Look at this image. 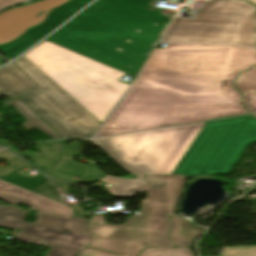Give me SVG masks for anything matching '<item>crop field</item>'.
<instances>
[{"mask_svg":"<svg viewBox=\"0 0 256 256\" xmlns=\"http://www.w3.org/2000/svg\"><path fill=\"white\" fill-rule=\"evenodd\" d=\"M254 64L251 48L168 43L95 137L248 113L231 84Z\"/></svg>","mask_w":256,"mask_h":256,"instance_id":"8a807250","label":"crop field"},{"mask_svg":"<svg viewBox=\"0 0 256 256\" xmlns=\"http://www.w3.org/2000/svg\"><path fill=\"white\" fill-rule=\"evenodd\" d=\"M23 56L101 123L129 87L124 73L47 40Z\"/></svg>","mask_w":256,"mask_h":256,"instance_id":"ac0d7876","label":"crop field"},{"mask_svg":"<svg viewBox=\"0 0 256 256\" xmlns=\"http://www.w3.org/2000/svg\"><path fill=\"white\" fill-rule=\"evenodd\" d=\"M149 197L141 216H129L123 225L106 224L104 215L90 219L94 239L89 247L126 256H138L145 247H175L168 239L167 213H173L184 176H144Z\"/></svg>","mask_w":256,"mask_h":256,"instance_id":"34b2d1b8","label":"crop field"},{"mask_svg":"<svg viewBox=\"0 0 256 256\" xmlns=\"http://www.w3.org/2000/svg\"><path fill=\"white\" fill-rule=\"evenodd\" d=\"M205 123L90 140L129 174H171Z\"/></svg>","mask_w":256,"mask_h":256,"instance_id":"412701ff","label":"crop field"},{"mask_svg":"<svg viewBox=\"0 0 256 256\" xmlns=\"http://www.w3.org/2000/svg\"><path fill=\"white\" fill-rule=\"evenodd\" d=\"M256 7L244 1L211 0L194 19L174 18L162 41L256 47Z\"/></svg>","mask_w":256,"mask_h":256,"instance_id":"f4fd0767","label":"crop field"},{"mask_svg":"<svg viewBox=\"0 0 256 256\" xmlns=\"http://www.w3.org/2000/svg\"><path fill=\"white\" fill-rule=\"evenodd\" d=\"M254 141L256 119L251 116L207 122L174 174H229Z\"/></svg>","mask_w":256,"mask_h":256,"instance_id":"dd49c442","label":"crop field"},{"mask_svg":"<svg viewBox=\"0 0 256 256\" xmlns=\"http://www.w3.org/2000/svg\"><path fill=\"white\" fill-rule=\"evenodd\" d=\"M47 40L66 47L132 77L150 49L72 20Z\"/></svg>","mask_w":256,"mask_h":256,"instance_id":"e52e79f7","label":"crop field"},{"mask_svg":"<svg viewBox=\"0 0 256 256\" xmlns=\"http://www.w3.org/2000/svg\"><path fill=\"white\" fill-rule=\"evenodd\" d=\"M44 90L22 96L61 136L90 138L101 125L23 56L15 62Z\"/></svg>","mask_w":256,"mask_h":256,"instance_id":"d8731c3e","label":"crop field"},{"mask_svg":"<svg viewBox=\"0 0 256 256\" xmlns=\"http://www.w3.org/2000/svg\"><path fill=\"white\" fill-rule=\"evenodd\" d=\"M28 212L31 210L0 204V226L21 228L20 235L45 240L41 245L52 248L45 256H77L93 239L86 218H59L37 212V220L27 223L23 220Z\"/></svg>","mask_w":256,"mask_h":256,"instance_id":"5a996713","label":"crop field"},{"mask_svg":"<svg viewBox=\"0 0 256 256\" xmlns=\"http://www.w3.org/2000/svg\"><path fill=\"white\" fill-rule=\"evenodd\" d=\"M74 20L153 49L166 24L113 3L99 0Z\"/></svg>","mask_w":256,"mask_h":256,"instance_id":"3316defc","label":"crop field"},{"mask_svg":"<svg viewBox=\"0 0 256 256\" xmlns=\"http://www.w3.org/2000/svg\"><path fill=\"white\" fill-rule=\"evenodd\" d=\"M0 199L11 203H22L31 206L30 209L60 217H73L72 208L53 200L36 195L23 188L0 180Z\"/></svg>","mask_w":256,"mask_h":256,"instance_id":"28ad6ade","label":"crop field"},{"mask_svg":"<svg viewBox=\"0 0 256 256\" xmlns=\"http://www.w3.org/2000/svg\"><path fill=\"white\" fill-rule=\"evenodd\" d=\"M40 89L13 63L0 69V95L20 96Z\"/></svg>","mask_w":256,"mask_h":256,"instance_id":"d1516ede","label":"crop field"},{"mask_svg":"<svg viewBox=\"0 0 256 256\" xmlns=\"http://www.w3.org/2000/svg\"><path fill=\"white\" fill-rule=\"evenodd\" d=\"M86 172V165L74 161L73 156L62 152L57 162L46 175L74 183L79 180L75 179L74 176L83 178Z\"/></svg>","mask_w":256,"mask_h":256,"instance_id":"22f410ed","label":"crop field"},{"mask_svg":"<svg viewBox=\"0 0 256 256\" xmlns=\"http://www.w3.org/2000/svg\"><path fill=\"white\" fill-rule=\"evenodd\" d=\"M202 233L203 231L183 218L170 214V239L177 247H190L193 240Z\"/></svg>","mask_w":256,"mask_h":256,"instance_id":"cbeb9de0","label":"crop field"},{"mask_svg":"<svg viewBox=\"0 0 256 256\" xmlns=\"http://www.w3.org/2000/svg\"><path fill=\"white\" fill-rule=\"evenodd\" d=\"M234 86L244 94L243 103L249 112H256V66L239 75Z\"/></svg>","mask_w":256,"mask_h":256,"instance_id":"5142ce71","label":"crop field"},{"mask_svg":"<svg viewBox=\"0 0 256 256\" xmlns=\"http://www.w3.org/2000/svg\"><path fill=\"white\" fill-rule=\"evenodd\" d=\"M101 181L113 185L107 189L113 196H134L136 192L146 190L145 182L141 175L140 179L136 180L121 179L107 175Z\"/></svg>","mask_w":256,"mask_h":256,"instance_id":"d9b57169","label":"crop field"},{"mask_svg":"<svg viewBox=\"0 0 256 256\" xmlns=\"http://www.w3.org/2000/svg\"><path fill=\"white\" fill-rule=\"evenodd\" d=\"M32 149H35L41 153H43L40 156H37L29 151H24L22 153L9 148L10 150L14 151L16 154L20 156H26L34 161L32 163L33 166H35L38 170L42 171L43 173L47 172L49 168L52 166V164L55 162V160L60 155V151L57 149H54L52 147L46 146L44 144H37Z\"/></svg>","mask_w":256,"mask_h":256,"instance_id":"733c2abd","label":"crop field"},{"mask_svg":"<svg viewBox=\"0 0 256 256\" xmlns=\"http://www.w3.org/2000/svg\"><path fill=\"white\" fill-rule=\"evenodd\" d=\"M7 104L14 106L18 112L28 120L24 123V126L27 128V130L36 127L51 137L59 139L58 135L20 98L4 103V105Z\"/></svg>","mask_w":256,"mask_h":256,"instance_id":"4a817a6b","label":"crop field"},{"mask_svg":"<svg viewBox=\"0 0 256 256\" xmlns=\"http://www.w3.org/2000/svg\"><path fill=\"white\" fill-rule=\"evenodd\" d=\"M78 256H119L86 247ZM139 256H193L186 248H145Z\"/></svg>","mask_w":256,"mask_h":256,"instance_id":"bc2a9ffb","label":"crop field"},{"mask_svg":"<svg viewBox=\"0 0 256 256\" xmlns=\"http://www.w3.org/2000/svg\"><path fill=\"white\" fill-rule=\"evenodd\" d=\"M35 42H37V41H35L31 38L24 37L20 41H17L13 44L7 45V46H5L3 48H0V49L8 57H10L12 59V58L16 57L18 54H20L21 52H23L24 50H26L31 45H33Z\"/></svg>","mask_w":256,"mask_h":256,"instance_id":"214f88e0","label":"crop field"},{"mask_svg":"<svg viewBox=\"0 0 256 256\" xmlns=\"http://www.w3.org/2000/svg\"><path fill=\"white\" fill-rule=\"evenodd\" d=\"M222 256H256V246L222 247Z\"/></svg>","mask_w":256,"mask_h":256,"instance_id":"92a150f3","label":"crop field"},{"mask_svg":"<svg viewBox=\"0 0 256 256\" xmlns=\"http://www.w3.org/2000/svg\"><path fill=\"white\" fill-rule=\"evenodd\" d=\"M105 175L107 174L101 172L95 166L89 167L88 175L81 182L93 183L96 180H100Z\"/></svg>","mask_w":256,"mask_h":256,"instance_id":"dafd665d","label":"crop field"},{"mask_svg":"<svg viewBox=\"0 0 256 256\" xmlns=\"http://www.w3.org/2000/svg\"><path fill=\"white\" fill-rule=\"evenodd\" d=\"M15 239H19V240L30 242V243L37 244V245H40L43 242L42 240L24 237V236H20V235H17L15 237Z\"/></svg>","mask_w":256,"mask_h":256,"instance_id":"00972430","label":"crop field"},{"mask_svg":"<svg viewBox=\"0 0 256 256\" xmlns=\"http://www.w3.org/2000/svg\"><path fill=\"white\" fill-rule=\"evenodd\" d=\"M22 1H26V0H0V9L8 5H11L17 2H22Z\"/></svg>","mask_w":256,"mask_h":256,"instance_id":"a9b5d70f","label":"crop field"},{"mask_svg":"<svg viewBox=\"0 0 256 256\" xmlns=\"http://www.w3.org/2000/svg\"><path fill=\"white\" fill-rule=\"evenodd\" d=\"M248 1H250L252 4L256 5V0H248Z\"/></svg>","mask_w":256,"mask_h":256,"instance_id":"4177f3b9","label":"crop field"},{"mask_svg":"<svg viewBox=\"0 0 256 256\" xmlns=\"http://www.w3.org/2000/svg\"><path fill=\"white\" fill-rule=\"evenodd\" d=\"M3 151H5L4 149H2V148H0V152H3Z\"/></svg>","mask_w":256,"mask_h":256,"instance_id":"730fd06b","label":"crop field"},{"mask_svg":"<svg viewBox=\"0 0 256 256\" xmlns=\"http://www.w3.org/2000/svg\"><path fill=\"white\" fill-rule=\"evenodd\" d=\"M254 118H256V115H253Z\"/></svg>","mask_w":256,"mask_h":256,"instance_id":"eef30255","label":"crop field"}]
</instances>
